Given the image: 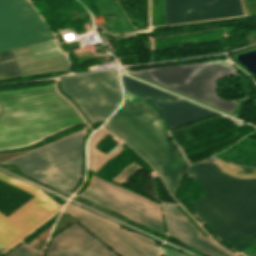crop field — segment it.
<instances>
[{"label": "crop field", "mask_w": 256, "mask_h": 256, "mask_svg": "<svg viewBox=\"0 0 256 256\" xmlns=\"http://www.w3.org/2000/svg\"><path fill=\"white\" fill-rule=\"evenodd\" d=\"M212 161L225 175L256 179V168H244L215 157ZM211 162H196L188 171L210 193L193 202L196 214L213 234L234 250L256 242V180H236L223 175Z\"/></svg>", "instance_id": "crop-field-1"}, {"label": "crop field", "mask_w": 256, "mask_h": 256, "mask_svg": "<svg viewBox=\"0 0 256 256\" xmlns=\"http://www.w3.org/2000/svg\"><path fill=\"white\" fill-rule=\"evenodd\" d=\"M55 85L0 92V151L31 146L85 123Z\"/></svg>", "instance_id": "crop-field-2"}, {"label": "crop field", "mask_w": 256, "mask_h": 256, "mask_svg": "<svg viewBox=\"0 0 256 256\" xmlns=\"http://www.w3.org/2000/svg\"><path fill=\"white\" fill-rule=\"evenodd\" d=\"M104 125L154 166L173 195L187 164L167 138L155 110L145 101L133 104L124 101Z\"/></svg>", "instance_id": "crop-field-3"}, {"label": "crop field", "mask_w": 256, "mask_h": 256, "mask_svg": "<svg viewBox=\"0 0 256 256\" xmlns=\"http://www.w3.org/2000/svg\"><path fill=\"white\" fill-rule=\"evenodd\" d=\"M84 139L81 132L2 164H12L23 174L70 194L81 177Z\"/></svg>", "instance_id": "crop-field-4"}, {"label": "crop field", "mask_w": 256, "mask_h": 256, "mask_svg": "<svg viewBox=\"0 0 256 256\" xmlns=\"http://www.w3.org/2000/svg\"><path fill=\"white\" fill-rule=\"evenodd\" d=\"M55 40L26 0H0V52ZM21 74L14 51L0 53V76ZM17 76L0 79L18 78Z\"/></svg>", "instance_id": "crop-field-5"}, {"label": "crop field", "mask_w": 256, "mask_h": 256, "mask_svg": "<svg viewBox=\"0 0 256 256\" xmlns=\"http://www.w3.org/2000/svg\"><path fill=\"white\" fill-rule=\"evenodd\" d=\"M231 66L228 60H216L130 72L230 112L235 103L218 98L214 79L236 74Z\"/></svg>", "instance_id": "crop-field-6"}, {"label": "crop field", "mask_w": 256, "mask_h": 256, "mask_svg": "<svg viewBox=\"0 0 256 256\" xmlns=\"http://www.w3.org/2000/svg\"><path fill=\"white\" fill-rule=\"evenodd\" d=\"M60 85L91 123L106 120L122 101L118 70L62 79Z\"/></svg>", "instance_id": "crop-field-7"}, {"label": "crop field", "mask_w": 256, "mask_h": 256, "mask_svg": "<svg viewBox=\"0 0 256 256\" xmlns=\"http://www.w3.org/2000/svg\"><path fill=\"white\" fill-rule=\"evenodd\" d=\"M137 223L164 232L160 205L95 176L79 195Z\"/></svg>", "instance_id": "crop-field-8"}, {"label": "crop field", "mask_w": 256, "mask_h": 256, "mask_svg": "<svg viewBox=\"0 0 256 256\" xmlns=\"http://www.w3.org/2000/svg\"><path fill=\"white\" fill-rule=\"evenodd\" d=\"M0 179L35 196L8 217L0 213V246L7 250L61 206L36 187L2 174Z\"/></svg>", "instance_id": "crop-field-9"}, {"label": "crop field", "mask_w": 256, "mask_h": 256, "mask_svg": "<svg viewBox=\"0 0 256 256\" xmlns=\"http://www.w3.org/2000/svg\"><path fill=\"white\" fill-rule=\"evenodd\" d=\"M64 211L78 218L81 224L122 256H159L157 246L144 237L124 231L70 205H66Z\"/></svg>", "instance_id": "crop-field-10"}, {"label": "crop field", "mask_w": 256, "mask_h": 256, "mask_svg": "<svg viewBox=\"0 0 256 256\" xmlns=\"http://www.w3.org/2000/svg\"><path fill=\"white\" fill-rule=\"evenodd\" d=\"M121 77L124 90L150 100L161 112L169 129L215 114L122 75Z\"/></svg>", "instance_id": "crop-field-11"}, {"label": "crop field", "mask_w": 256, "mask_h": 256, "mask_svg": "<svg viewBox=\"0 0 256 256\" xmlns=\"http://www.w3.org/2000/svg\"><path fill=\"white\" fill-rule=\"evenodd\" d=\"M240 15V0H166V24Z\"/></svg>", "instance_id": "crop-field-12"}, {"label": "crop field", "mask_w": 256, "mask_h": 256, "mask_svg": "<svg viewBox=\"0 0 256 256\" xmlns=\"http://www.w3.org/2000/svg\"><path fill=\"white\" fill-rule=\"evenodd\" d=\"M164 208L171 237L208 256H235L211 238L204 237L175 205L165 203Z\"/></svg>", "instance_id": "crop-field-13"}, {"label": "crop field", "mask_w": 256, "mask_h": 256, "mask_svg": "<svg viewBox=\"0 0 256 256\" xmlns=\"http://www.w3.org/2000/svg\"><path fill=\"white\" fill-rule=\"evenodd\" d=\"M47 256H116L76 223L53 236Z\"/></svg>", "instance_id": "crop-field-14"}, {"label": "crop field", "mask_w": 256, "mask_h": 256, "mask_svg": "<svg viewBox=\"0 0 256 256\" xmlns=\"http://www.w3.org/2000/svg\"><path fill=\"white\" fill-rule=\"evenodd\" d=\"M107 133L104 130L96 131L89 140L88 143V169L94 172H98L102 167L110 160L114 159L119 153L124 150L123 144L120 141L119 145L115 149H111L107 154L96 149V146L101 142L102 139L106 138Z\"/></svg>", "instance_id": "crop-field-15"}, {"label": "crop field", "mask_w": 256, "mask_h": 256, "mask_svg": "<svg viewBox=\"0 0 256 256\" xmlns=\"http://www.w3.org/2000/svg\"><path fill=\"white\" fill-rule=\"evenodd\" d=\"M6 256H43V254L24 244H21Z\"/></svg>", "instance_id": "crop-field-16"}, {"label": "crop field", "mask_w": 256, "mask_h": 256, "mask_svg": "<svg viewBox=\"0 0 256 256\" xmlns=\"http://www.w3.org/2000/svg\"><path fill=\"white\" fill-rule=\"evenodd\" d=\"M161 252L165 255V256H184V255H181L177 252H174V251H171V250H168V249H164V248H161Z\"/></svg>", "instance_id": "crop-field-17"}, {"label": "crop field", "mask_w": 256, "mask_h": 256, "mask_svg": "<svg viewBox=\"0 0 256 256\" xmlns=\"http://www.w3.org/2000/svg\"><path fill=\"white\" fill-rule=\"evenodd\" d=\"M0 253H2V252H0ZM1 255V254H0Z\"/></svg>", "instance_id": "crop-field-18"}]
</instances>
